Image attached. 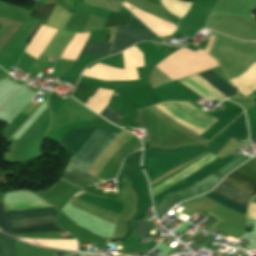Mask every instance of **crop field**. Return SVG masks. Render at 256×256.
Returning a JSON list of instances; mask_svg holds the SVG:
<instances>
[{
    "label": "crop field",
    "instance_id": "crop-field-16",
    "mask_svg": "<svg viewBox=\"0 0 256 256\" xmlns=\"http://www.w3.org/2000/svg\"><path fill=\"white\" fill-rule=\"evenodd\" d=\"M54 219L55 217H47L42 219L16 220V221H9V222L11 227L14 228V227L25 226V225L55 222Z\"/></svg>",
    "mask_w": 256,
    "mask_h": 256
},
{
    "label": "crop field",
    "instance_id": "crop-field-2",
    "mask_svg": "<svg viewBox=\"0 0 256 256\" xmlns=\"http://www.w3.org/2000/svg\"><path fill=\"white\" fill-rule=\"evenodd\" d=\"M217 65L214 58L200 49L193 53L181 48L155 67L176 80Z\"/></svg>",
    "mask_w": 256,
    "mask_h": 256
},
{
    "label": "crop field",
    "instance_id": "crop-field-20",
    "mask_svg": "<svg viewBox=\"0 0 256 256\" xmlns=\"http://www.w3.org/2000/svg\"><path fill=\"white\" fill-rule=\"evenodd\" d=\"M43 28V26L36 24L34 29L32 30V32L30 33V35L27 37V39L25 40L27 49L29 48V46L31 45V43L33 42V40L36 38V36L38 35V33L40 32V30ZM26 49V50H27ZM25 50V52H26Z\"/></svg>",
    "mask_w": 256,
    "mask_h": 256
},
{
    "label": "crop field",
    "instance_id": "crop-field-8",
    "mask_svg": "<svg viewBox=\"0 0 256 256\" xmlns=\"http://www.w3.org/2000/svg\"><path fill=\"white\" fill-rule=\"evenodd\" d=\"M199 75H201L205 80H207L211 85H213L226 97L236 96L233 87L226 83L223 79H221L211 70L200 73Z\"/></svg>",
    "mask_w": 256,
    "mask_h": 256
},
{
    "label": "crop field",
    "instance_id": "crop-field-7",
    "mask_svg": "<svg viewBox=\"0 0 256 256\" xmlns=\"http://www.w3.org/2000/svg\"><path fill=\"white\" fill-rule=\"evenodd\" d=\"M60 180L68 182L81 189L101 182L97 180L95 177L86 174L85 172L79 170L77 167L69 163L63 170Z\"/></svg>",
    "mask_w": 256,
    "mask_h": 256
},
{
    "label": "crop field",
    "instance_id": "crop-field-3",
    "mask_svg": "<svg viewBox=\"0 0 256 256\" xmlns=\"http://www.w3.org/2000/svg\"><path fill=\"white\" fill-rule=\"evenodd\" d=\"M56 214L57 211L54 207L4 212L3 203H0V230L11 235L64 232L56 225V223L19 227L14 229H11L8 223V220L41 218L47 216H56Z\"/></svg>",
    "mask_w": 256,
    "mask_h": 256
},
{
    "label": "crop field",
    "instance_id": "crop-field-1",
    "mask_svg": "<svg viewBox=\"0 0 256 256\" xmlns=\"http://www.w3.org/2000/svg\"><path fill=\"white\" fill-rule=\"evenodd\" d=\"M225 180L253 193L256 194V172L245 167L241 166L237 170L230 173L228 176L225 177ZM223 180L215 189L214 191L244 205L247 207L248 202L252 199L253 194ZM211 191L205 196L215 200L216 202L231 208L237 212H240L244 215L246 212V207L214 192Z\"/></svg>",
    "mask_w": 256,
    "mask_h": 256
},
{
    "label": "crop field",
    "instance_id": "crop-field-18",
    "mask_svg": "<svg viewBox=\"0 0 256 256\" xmlns=\"http://www.w3.org/2000/svg\"><path fill=\"white\" fill-rule=\"evenodd\" d=\"M148 222L135 221L134 236H145Z\"/></svg>",
    "mask_w": 256,
    "mask_h": 256
},
{
    "label": "crop field",
    "instance_id": "crop-field-12",
    "mask_svg": "<svg viewBox=\"0 0 256 256\" xmlns=\"http://www.w3.org/2000/svg\"><path fill=\"white\" fill-rule=\"evenodd\" d=\"M56 3H35L30 17L48 20Z\"/></svg>",
    "mask_w": 256,
    "mask_h": 256
},
{
    "label": "crop field",
    "instance_id": "crop-field-19",
    "mask_svg": "<svg viewBox=\"0 0 256 256\" xmlns=\"http://www.w3.org/2000/svg\"><path fill=\"white\" fill-rule=\"evenodd\" d=\"M180 199L173 198L171 201H169L167 204L162 206L160 209H158L156 212L158 219H160L176 202H178Z\"/></svg>",
    "mask_w": 256,
    "mask_h": 256
},
{
    "label": "crop field",
    "instance_id": "crop-field-15",
    "mask_svg": "<svg viewBox=\"0 0 256 256\" xmlns=\"http://www.w3.org/2000/svg\"><path fill=\"white\" fill-rule=\"evenodd\" d=\"M130 17L121 15L119 13L110 12L107 21L104 25L106 27H117V26H126L127 22L129 21Z\"/></svg>",
    "mask_w": 256,
    "mask_h": 256
},
{
    "label": "crop field",
    "instance_id": "crop-field-13",
    "mask_svg": "<svg viewBox=\"0 0 256 256\" xmlns=\"http://www.w3.org/2000/svg\"><path fill=\"white\" fill-rule=\"evenodd\" d=\"M96 90H97L96 87L78 83L75 88V91L73 93V98H75L76 100L85 104V102L88 100V98L90 96H93V94L95 93ZM90 99H91V97H90ZM90 99L85 104L86 106H87L88 102L90 101Z\"/></svg>",
    "mask_w": 256,
    "mask_h": 256
},
{
    "label": "crop field",
    "instance_id": "crop-field-21",
    "mask_svg": "<svg viewBox=\"0 0 256 256\" xmlns=\"http://www.w3.org/2000/svg\"><path fill=\"white\" fill-rule=\"evenodd\" d=\"M208 52V51H207ZM209 54H211L210 52H208ZM212 55V54H211ZM217 61H218V63L221 65V67H222V69H223V71L225 72V74L227 75V77H228V79H230V77H229V75H228V73L225 71V69L223 68V66H222V64L219 62V60L214 56V55H212Z\"/></svg>",
    "mask_w": 256,
    "mask_h": 256
},
{
    "label": "crop field",
    "instance_id": "crop-field-5",
    "mask_svg": "<svg viewBox=\"0 0 256 256\" xmlns=\"http://www.w3.org/2000/svg\"><path fill=\"white\" fill-rule=\"evenodd\" d=\"M117 36L113 44L111 54L118 53L130 45L141 41V40H153L156 36L155 34H150L130 28H116Z\"/></svg>",
    "mask_w": 256,
    "mask_h": 256
},
{
    "label": "crop field",
    "instance_id": "crop-field-22",
    "mask_svg": "<svg viewBox=\"0 0 256 256\" xmlns=\"http://www.w3.org/2000/svg\"><path fill=\"white\" fill-rule=\"evenodd\" d=\"M1 27V26H0Z\"/></svg>",
    "mask_w": 256,
    "mask_h": 256
},
{
    "label": "crop field",
    "instance_id": "crop-field-14",
    "mask_svg": "<svg viewBox=\"0 0 256 256\" xmlns=\"http://www.w3.org/2000/svg\"><path fill=\"white\" fill-rule=\"evenodd\" d=\"M0 254L1 256H15L13 238L0 234Z\"/></svg>",
    "mask_w": 256,
    "mask_h": 256
},
{
    "label": "crop field",
    "instance_id": "crop-field-6",
    "mask_svg": "<svg viewBox=\"0 0 256 256\" xmlns=\"http://www.w3.org/2000/svg\"><path fill=\"white\" fill-rule=\"evenodd\" d=\"M95 131L91 128H72L65 133L61 143H59L76 155Z\"/></svg>",
    "mask_w": 256,
    "mask_h": 256
},
{
    "label": "crop field",
    "instance_id": "crop-field-11",
    "mask_svg": "<svg viewBox=\"0 0 256 256\" xmlns=\"http://www.w3.org/2000/svg\"><path fill=\"white\" fill-rule=\"evenodd\" d=\"M81 192V191H80ZM79 193V192H78ZM78 193H76L75 195H77ZM74 195V196H75ZM73 196V197H74ZM75 198H78V199H81V200H84V201H87V202H90V203H93V204H96L100 207H103V208H106V209H109L117 214H119L121 211H122V207L120 206H117L115 204H112V203H109L107 201H104L102 199H99L97 197H94V196H91L89 194H86L84 192H81L79 193L77 196H75Z\"/></svg>",
    "mask_w": 256,
    "mask_h": 256
},
{
    "label": "crop field",
    "instance_id": "crop-field-10",
    "mask_svg": "<svg viewBox=\"0 0 256 256\" xmlns=\"http://www.w3.org/2000/svg\"><path fill=\"white\" fill-rule=\"evenodd\" d=\"M112 44L86 41L80 55L100 56L109 53Z\"/></svg>",
    "mask_w": 256,
    "mask_h": 256
},
{
    "label": "crop field",
    "instance_id": "crop-field-4",
    "mask_svg": "<svg viewBox=\"0 0 256 256\" xmlns=\"http://www.w3.org/2000/svg\"><path fill=\"white\" fill-rule=\"evenodd\" d=\"M115 136L116 134L97 130L71 163L79 166L83 171L87 172Z\"/></svg>",
    "mask_w": 256,
    "mask_h": 256
},
{
    "label": "crop field",
    "instance_id": "crop-field-17",
    "mask_svg": "<svg viewBox=\"0 0 256 256\" xmlns=\"http://www.w3.org/2000/svg\"><path fill=\"white\" fill-rule=\"evenodd\" d=\"M99 115L115 125H118L123 118V115L116 114L109 106H107Z\"/></svg>",
    "mask_w": 256,
    "mask_h": 256
},
{
    "label": "crop field",
    "instance_id": "crop-field-9",
    "mask_svg": "<svg viewBox=\"0 0 256 256\" xmlns=\"http://www.w3.org/2000/svg\"><path fill=\"white\" fill-rule=\"evenodd\" d=\"M31 244L39 246L54 247L60 249H74L76 250V240H42V239H22Z\"/></svg>",
    "mask_w": 256,
    "mask_h": 256
}]
</instances>
